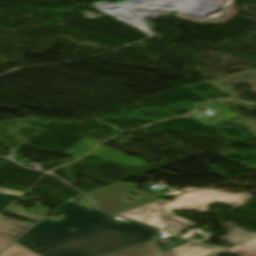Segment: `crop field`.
I'll use <instances>...</instances> for the list:
<instances>
[{
	"mask_svg": "<svg viewBox=\"0 0 256 256\" xmlns=\"http://www.w3.org/2000/svg\"><path fill=\"white\" fill-rule=\"evenodd\" d=\"M17 242L44 256H107L151 240L157 230L66 201ZM75 230H70V228Z\"/></svg>",
	"mask_w": 256,
	"mask_h": 256,
	"instance_id": "obj_1",
	"label": "crop field"
},
{
	"mask_svg": "<svg viewBox=\"0 0 256 256\" xmlns=\"http://www.w3.org/2000/svg\"><path fill=\"white\" fill-rule=\"evenodd\" d=\"M250 199L245 194H230L217 190L198 189L175 197L173 201H162L122 216L154 226L156 228L179 235L182 229L194 223L171 214V209L197 210L207 212L206 206L214 202H224L232 206H240Z\"/></svg>",
	"mask_w": 256,
	"mask_h": 256,
	"instance_id": "obj_2",
	"label": "crop field"
},
{
	"mask_svg": "<svg viewBox=\"0 0 256 256\" xmlns=\"http://www.w3.org/2000/svg\"><path fill=\"white\" fill-rule=\"evenodd\" d=\"M224 248H219L210 245H204L197 242H190L181 246L175 247L166 253L169 256H207Z\"/></svg>",
	"mask_w": 256,
	"mask_h": 256,
	"instance_id": "obj_3",
	"label": "crop field"
},
{
	"mask_svg": "<svg viewBox=\"0 0 256 256\" xmlns=\"http://www.w3.org/2000/svg\"><path fill=\"white\" fill-rule=\"evenodd\" d=\"M34 225L0 216V234L16 241Z\"/></svg>",
	"mask_w": 256,
	"mask_h": 256,
	"instance_id": "obj_4",
	"label": "crop field"
},
{
	"mask_svg": "<svg viewBox=\"0 0 256 256\" xmlns=\"http://www.w3.org/2000/svg\"><path fill=\"white\" fill-rule=\"evenodd\" d=\"M87 156H96L107 160L122 162L128 165H144V161L126 157L122 153L106 148L102 145L98 146Z\"/></svg>",
	"mask_w": 256,
	"mask_h": 256,
	"instance_id": "obj_5",
	"label": "crop field"
},
{
	"mask_svg": "<svg viewBox=\"0 0 256 256\" xmlns=\"http://www.w3.org/2000/svg\"><path fill=\"white\" fill-rule=\"evenodd\" d=\"M222 226L228 229V234L227 236L218 238V240L223 241L229 245H234L242 241L256 237V233H249L234 226L231 223H225Z\"/></svg>",
	"mask_w": 256,
	"mask_h": 256,
	"instance_id": "obj_6",
	"label": "crop field"
},
{
	"mask_svg": "<svg viewBox=\"0 0 256 256\" xmlns=\"http://www.w3.org/2000/svg\"><path fill=\"white\" fill-rule=\"evenodd\" d=\"M111 256H163L150 241Z\"/></svg>",
	"mask_w": 256,
	"mask_h": 256,
	"instance_id": "obj_7",
	"label": "crop field"
},
{
	"mask_svg": "<svg viewBox=\"0 0 256 256\" xmlns=\"http://www.w3.org/2000/svg\"><path fill=\"white\" fill-rule=\"evenodd\" d=\"M222 253H231L237 256H256V238L218 254Z\"/></svg>",
	"mask_w": 256,
	"mask_h": 256,
	"instance_id": "obj_8",
	"label": "crop field"
},
{
	"mask_svg": "<svg viewBox=\"0 0 256 256\" xmlns=\"http://www.w3.org/2000/svg\"><path fill=\"white\" fill-rule=\"evenodd\" d=\"M0 256H39V255L33 253L32 251L14 242L3 253H1Z\"/></svg>",
	"mask_w": 256,
	"mask_h": 256,
	"instance_id": "obj_9",
	"label": "crop field"
},
{
	"mask_svg": "<svg viewBox=\"0 0 256 256\" xmlns=\"http://www.w3.org/2000/svg\"><path fill=\"white\" fill-rule=\"evenodd\" d=\"M98 142H95L89 138L84 139V141L77 146L74 150H72L69 154L74 158L78 159L91 150Z\"/></svg>",
	"mask_w": 256,
	"mask_h": 256,
	"instance_id": "obj_10",
	"label": "crop field"
},
{
	"mask_svg": "<svg viewBox=\"0 0 256 256\" xmlns=\"http://www.w3.org/2000/svg\"><path fill=\"white\" fill-rule=\"evenodd\" d=\"M18 196L7 190L0 189V212L11 204Z\"/></svg>",
	"mask_w": 256,
	"mask_h": 256,
	"instance_id": "obj_11",
	"label": "crop field"
},
{
	"mask_svg": "<svg viewBox=\"0 0 256 256\" xmlns=\"http://www.w3.org/2000/svg\"><path fill=\"white\" fill-rule=\"evenodd\" d=\"M12 243H13V241H9V240L0 236V253L3 252Z\"/></svg>",
	"mask_w": 256,
	"mask_h": 256,
	"instance_id": "obj_12",
	"label": "crop field"
},
{
	"mask_svg": "<svg viewBox=\"0 0 256 256\" xmlns=\"http://www.w3.org/2000/svg\"><path fill=\"white\" fill-rule=\"evenodd\" d=\"M11 191V190H10ZM11 192H13L14 194H16V195H18V196H20V195H22L23 193H20V192H15V191H11Z\"/></svg>",
	"mask_w": 256,
	"mask_h": 256,
	"instance_id": "obj_13",
	"label": "crop field"
},
{
	"mask_svg": "<svg viewBox=\"0 0 256 256\" xmlns=\"http://www.w3.org/2000/svg\"><path fill=\"white\" fill-rule=\"evenodd\" d=\"M210 256H216L215 254H212V255H210Z\"/></svg>",
	"mask_w": 256,
	"mask_h": 256,
	"instance_id": "obj_14",
	"label": "crop field"
}]
</instances>
